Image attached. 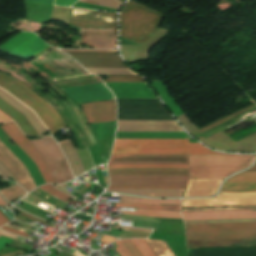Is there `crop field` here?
Here are the masks:
<instances>
[{
	"instance_id": "obj_1",
	"label": "crop field",
	"mask_w": 256,
	"mask_h": 256,
	"mask_svg": "<svg viewBox=\"0 0 256 256\" xmlns=\"http://www.w3.org/2000/svg\"><path fill=\"white\" fill-rule=\"evenodd\" d=\"M112 154H221L188 139H116Z\"/></svg>"
},
{
	"instance_id": "obj_2",
	"label": "crop field",
	"mask_w": 256,
	"mask_h": 256,
	"mask_svg": "<svg viewBox=\"0 0 256 256\" xmlns=\"http://www.w3.org/2000/svg\"><path fill=\"white\" fill-rule=\"evenodd\" d=\"M256 155H189V179L225 178L252 164Z\"/></svg>"
},
{
	"instance_id": "obj_3",
	"label": "crop field",
	"mask_w": 256,
	"mask_h": 256,
	"mask_svg": "<svg viewBox=\"0 0 256 256\" xmlns=\"http://www.w3.org/2000/svg\"><path fill=\"white\" fill-rule=\"evenodd\" d=\"M0 87L33 109L51 131L52 135L58 129L66 126L56 110L15 78L0 72Z\"/></svg>"
},
{
	"instance_id": "obj_4",
	"label": "crop field",
	"mask_w": 256,
	"mask_h": 256,
	"mask_svg": "<svg viewBox=\"0 0 256 256\" xmlns=\"http://www.w3.org/2000/svg\"><path fill=\"white\" fill-rule=\"evenodd\" d=\"M162 18L163 15L129 0L121 12L120 35L139 40L155 32Z\"/></svg>"
},
{
	"instance_id": "obj_5",
	"label": "crop field",
	"mask_w": 256,
	"mask_h": 256,
	"mask_svg": "<svg viewBox=\"0 0 256 256\" xmlns=\"http://www.w3.org/2000/svg\"><path fill=\"white\" fill-rule=\"evenodd\" d=\"M31 143L46 162L56 183L60 184L73 178L63 153L51 137L44 136L32 140Z\"/></svg>"
},
{
	"instance_id": "obj_6",
	"label": "crop field",
	"mask_w": 256,
	"mask_h": 256,
	"mask_svg": "<svg viewBox=\"0 0 256 256\" xmlns=\"http://www.w3.org/2000/svg\"><path fill=\"white\" fill-rule=\"evenodd\" d=\"M108 174L188 175V173L108 172ZM109 175L110 185L186 186L189 176Z\"/></svg>"
},
{
	"instance_id": "obj_7",
	"label": "crop field",
	"mask_w": 256,
	"mask_h": 256,
	"mask_svg": "<svg viewBox=\"0 0 256 256\" xmlns=\"http://www.w3.org/2000/svg\"><path fill=\"white\" fill-rule=\"evenodd\" d=\"M256 205V192L219 193L213 199H182V207Z\"/></svg>"
},
{
	"instance_id": "obj_8",
	"label": "crop field",
	"mask_w": 256,
	"mask_h": 256,
	"mask_svg": "<svg viewBox=\"0 0 256 256\" xmlns=\"http://www.w3.org/2000/svg\"><path fill=\"white\" fill-rule=\"evenodd\" d=\"M2 130L26 153V155L37 165L45 183H55L45 162L35 150L30 141L21 133L14 122L5 123L0 126Z\"/></svg>"
},
{
	"instance_id": "obj_9",
	"label": "crop field",
	"mask_w": 256,
	"mask_h": 256,
	"mask_svg": "<svg viewBox=\"0 0 256 256\" xmlns=\"http://www.w3.org/2000/svg\"><path fill=\"white\" fill-rule=\"evenodd\" d=\"M47 46L49 45L39 39L37 35L21 32L11 40L2 44L0 49L24 58H30Z\"/></svg>"
},
{
	"instance_id": "obj_10",
	"label": "crop field",
	"mask_w": 256,
	"mask_h": 256,
	"mask_svg": "<svg viewBox=\"0 0 256 256\" xmlns=\"http://www.w3.org/2000/svg\"><path fill=\"white\" fill-rule=\"evenodd\" d=\"M69 23L77 27H116V14L71 8Z\"/></svg>"
},
{
	"instance_id": "obj_11",
	"label": "crop field",
	"mask_w": 256,
	"mask_h": 256,
	"mask_svg": "<svg viewBox=\"0 0 256 256\" xmlns=\"http://www.w3.org/2000/svg\"><path fill=\"white\" fill-rule=\"evenodd\" d=\"M84 67L128 68L116 52H66Z\"/></svg>"
},
{
	"instance_id": "obj_12",
	"label": "crop field",
	"mask_w": 256,
	"mask_h": 256,
	"mask_svg": "<svg viewBox=\"0 0 256 256\" xmlns=\"http://www.w3.org/2000/svg\"><path fill=\"white\" fill-rule=\"evenodd\" d=\"M0 162L6 166L27 191L35 188V184L27 170V168L16 158V156L0 141Z\"/></svg>"
},
{
	"instance_id": "obj_13",
	"label": "crop field",
	"mask_w": 256,
	"mask_h": 256,
	"mask_svg": "<svg viewBox=\"0 0 256 256\" xmlns=\"http://www.w3.org/2000/svg\"><path fill=\"white\" fill-rule=\"evenodd\" d=\"M187 240L256 238L255 229L186 230Z\"/></svg>"
},
{
	"instance_id": "obj_14",
	"label": "crop field",
	"mask_w": 256,
	"mask_h": 256,
	"mask_svg": "<svg viewBox=\"0 0 256 256\" xmlns=\"http://www.w3.org/2000/svg\"><path fill=\"white\" fill-rule=\"evenodd\" d=\"M61 90L78 103L113 98L102 83L68 87Z\"/></svg>"
},
{
	"instance_id": "obj_15",
	"label": "crop field",
	"mask_w": 256,
	"mask_h": 256,
	"mask_svg": "<svg viewBox=\"0 0 256 256\" xmlns=\"http://www.w3.org/2000/svg\"><path fill=\"white\" fill-rule=\"evenodd\" d=\"M81 105L89 124L116 120L113 100Z\"/></svg>"
},
{
	"instance_id": "obj_16",
	"label": "crop field",
	"mask_w": 256,
	"mask_h": 256,
	"mask_svg": "<svg viewBox=\"0 0 256 256\" xmlns=\"http://www.w3.org/2000/svg\"><path fill=\"white\" fill-rule=\"evenodd\" d=\"M117 131H183L175 121H118Z\"/></svg>"
},
{
	"instance_id": "obj_17",
	"label": "crop field",
	"mask_w": 256,
	"mask_h": 256,
	"mask_svg": "<svg viewBox=\"0 0 256 256\" xmlns=\"http://www.w3.org/2000/svg\"><path fill=\"white\" fill-rule=\"evenodd\" d=\"M105 85L113 92L115 98H156L154 93L145 83H105Z\"/></svg>"
},
{
	"instance_id": "obj_18",
	"label": "crop field",
	"mask_w": 256,
	"mask_h": 256,
	"mask_svg": "<svg viewBox=\"0 0 256 256\" xmlns=\"http://www.w3.org/2000/svg\"><path fill=\"white\" fill-rule=\"evenodd\" d=\"M83 34L116 35V28H79ZM84 35L85 43L96 46L95 48H114L116 36ZM84 43V37H83ZM89 45V46H90ZM92 46V47H94Z\"/></svg>"
},
{
	"instance_id": "obj_19",
	"label": "crop field",
	"mask_w": 256,
	"mask_h": 256,
	"mask_svg": "<svg viewBox=\"0 0 256 256\" xmlns=\"http://www.w3.org/2000/svg\"><path fill=\"white\" fill-rule=\"evenodd\" d=\"M184 220L205 219H248L256 218V211H207V212H182Z\"/></svg>"
},
{
	"instance_id": "obj_20",
	"label": "crop field",
	"mask_w": 256,
	"mask_h": 256,
	"mask_svg": "<svg viewBox=\"0 0 256 256\" xmlns=\"http://www.w3.org/2000/svg\"><path fill=\"white\" fill-rule=\"evenodd\" d=\"M256 191V172H242L223 184L220 192Z\"/></svg>"
},
{
	"instance_id": "obj_21",
	"label": "crop field",
	"mask_w": 256,
	"mask_h": 256,
	"mask_svg": "<svg viewBox=\"0 0 256 256\" xmlns=\"http://www.w3.org/2000/svg\"><path fill=\"white\" fill-rule=\"evenodd\" d=\"M222 179L189 180L184 197L212 196Z\"/></svg>"
},
{
	"instance_id": "obj_22",
	"label": "crop field",
	"mask_w": 256,
	"mask_h": 256,
	"mask_svg": "<svg viewBox=\"0 0 256 256\" xmlns=\"http://www.w3.org/2000/svg\"><path fill=\"white\" fill-rule=\"evenodd\" d=\"M0 98L8 104H10L11 106H13L14 108H16L21 113H23L39 135L47 132L46 128L43 126V124L40 122V120L37 118V116L34 114L32 110H30L28 107L23 105L21 102L16 100L14 97L9 95L2 89H0Z\"/></svg>"
},
{
	"instance_id": "obj_23",
	"label": "crop field",
	"mask_w": 256,
	"mask_h": 256,
	"mask_svg": "<svg viewBox=\"0 0 256 256\" xmlns=\"http://www.w3.org/2000/svg\"><path fill=\"white\" fill-rule=\"evenodd\" d=\"M109 160L188 161V155H111Z\"/></svg>"
},
{
	"instance_id": "obj_24",
	"label": "crop field",
	"mask_w": 256,
	"mask_h": 256,
	"mask_svg": "<svg viewBox=\"0 0 256 256\" xmlns=\"http://www.w3.org/2000/svg\"><path fill=\"white\" fill-rule=\"evenodd\" d=\"M188 247L249 246L256 245V239L187 241Z\"/></svg>"
},
{
	"instance_id": "obj_25",
	"label": "crop field",
	"mask_w": 256,
	"mask_h": 256,
	"mask_svg": "<svg viewBox=\"0 0 256 256\" xmlns=\"http://www.w3.org/2000/svg\"><path fill=\"white\" fill-rule=\"evenodd\" d=\"M116 138H187L185 132H117Z\"/></svg>"
},
{
	"instance_id": "obj_26",
	"label": "crop field",
	"mask_w": 256,
	"mask_h": 256,
	"mask_svg": "<svg viewBox=\"0 0 256 256\" xmlns=\"http://www.w3.org/2000/svg\"><path fill=\"white\" fill-rule=\"evenodd\" d=\"M107 191L154 197H180L183 190L107 189Z\"/></svg>"
},
{
	"instance_id": "obj_27",
	"label": "crop field",
	"mask_w": 256,
	"mask_h": 256,
	"mask_svg": "<svg viewBox=\"0 0 256 256\" xmlns=\"http://www.w3.org/2000/svg\"><path fill=\"white\" fill-rule=\"evenodd\" d=\"M60 146L70 163V166L72 168L74 175L77 176V175L85 172V170L82 166V163L79 159V156H78L71 140L61 142Z\"/></svg>"
},
{
	"instance_id": "obj_28",
	"label": "crop field",
	"mask_w": 256,
	"mask_h": 256,
	"mask_svg": "<svg viewBox=\"0 0 256 256\" xmlns=\"http://www.w3.org/2000/svg\"><path fill=\"white\" fill-rule=\"evenodd\" d=\"M94 140L111 138L115 135L116 121L89 125Z\"/></svg>"
},
{
	"instance_id": "obj_29",
	"label": "crop field",
	"mask_w": 256,
	"mask_h": 256,
	"mask_svg": "<svg viewBox=\"0 0 256 256\" xmlns=\"http://www.w3.org/2000/svg\"><path fill=\"white\" fill-rule=\"evenodd\" d=\"M119 203L177 205V204H180V200H150V199L136 198V197L121 195Z\"/></svg>"
},
{
	"instance_id": "obj_30",
	"label": "crop field",
	"mask_w": 256,
	"mask_h": 256,
	"mask_svg": "<svg viewBox=\"0 0 256 256\" xmlns=\"http://www.w3.org/2000/svg\"><path fill=\"white\" fill-rule=\"evenodd\" d=\"M121 213L152 216V217L181 218L179 212H169V211H159V210L137 209L136 212L122 211Z\"/></svg>"
},
{
	"instance_id": "obj_31",
	"label": "crop field",
	"mask_w": 256,
	"mask_h": 256,
	"mask_svg": "<svg viewBox=\"0 0 256 256\" xmlns=\"http://www.w3.org/2000/svg\"><path fill=\"white\" fill-rule=\"evenodd\" d=\"M114 243L118 246L116 250L121 256H141L130 239L119 240Z\"/></svg>"
},
{
	"instance_id": "obj_32",
	"label": "crop field",
	"mask_w": 256,
	"mask_h": 256,
	"mask_svg": "<svg viewBox=\"0 0 256 256\" xmlns=\"http://www.w3.org/2000/svg\"><path fill=\"white\" fill-rule=\"evenodd\" d=\"M186 229H207V228H251L256 223L249 224H206V225H185Z\"/></svg>"
},
{
	"instance_id": "obj_33",
	"label": "crop field",
	"mask_w": 256,
	"mask_h": 256,
	"mask_svg": "<svg viewBox=\"0 0 256 256\" xmlns=\"http://www.w3.org/2000/svg\"><path fill=\"white\" fill-rule=\"evenodd\" d=\"M147 242V244L149 245V247L152 249V251L154 252V254L156 256H174V254L171 252V250L168 248V246L165 244V242L163 241H154V240H145ZM159 248L156 246V244Z\"/></svg>"
},
{
	"instance_id": "obj_34",
	"label": "crop field",
	"mask_w": 256,
	"mask_h": 256,
	"mask_svg": "<svg viewBox=\"0 0 256 256\" xmlns=\"http://www.w3.org/2000/svg\"><path fill=\"white\" fill-rule=\"evenodd\" d=\"M94 74L137 75L130 69L86 68Z\"/></svg>"
},
{
	"instance_id": "obj_35",
	"label": "crop field",
	"mask_w": 256,
	"mask_h": 256,
	"mask_svg": "<svg viewBox=\"0 0 256 256\" xmlns=\"http://www.w3.org/2000/svg\"><path fill=\"white\" fill-rule=\"evenodd\" d=\"M0 192L9 202H11V201L17 199L19 196L25 194V192L18 185L2 189V190H0Z\"/></svg>"
},
{
	"instance_id": "obj_36",
	"label": "crop field",
	"mask_w": 256,
	"mask_h": 256,
	"mask_svg": "<svg viewBox=\"0 0 256 256\" xmlns=\"http://www.w3.org/2000/svg\"><path fill=\"white\" fill-rule=\"evenodd\" d=\"M108 164L188 165V162L109 161Z\"/></svg>"
},
{
	"instance_id": "obj_37",
	"label": "crop field",
	"mask_w": 256,
	"mask_h": 256,
	"mask_svg": "<svg viewBox=\"0 0 256 256\" xmlns=\"http://www.w3.org/2000/svg\"><path fill=\"white\" fill-rule=\"evenodd\" d=\"M115 206L121 207H135V208H149V209H160V210H170L179 211L180 205L177 206H162V205H140V204H116Z\"/></svg>"
},
{
	"instance_id": "obj_38",
	"label": "crop field",
	"mask_w": 256,
	"mask_h": 256,
	"mask_svg": "<svg viewBox=\"0 0 256 256\" xmlns=\"http://www.w3.org/2000/svg\"><path fill=\"white\" fill-rule=\"evenodd\" d=\"M39 188L43 189L44 191H46L47 193H49L50 195L60 199V200H63L65 202H68L70 200V196L56 190L52 185L50 184H46V185H43V186H40Z\"/></svg>"
},
{
	"instance_id": "obj_39",
	"label": "crop field",
	"mask_w": 256,
	"mask_h": 256,
	"mask_svg": "<svg viewBox=\"0 0 256 256\" xmlns=\"http://www.w3.org/2000/svg\"><path fill=\"white\" fill-rule=\"evenodd\" d=\"M131 241L134 243L142 256H155L144 239H131Z\"/></svg>"
},
{
	"instance_id": "obj_40",
	"label": "crop field",
	"mask_w": 256,
	"mask_h": 256,
	"mask_svg": "<svg viewBox=\"0 0 256 256\" xmlns=\"http://www.w3.org/2000/svg\"><path fill=\"white\" fill-rule=\"evenodd\" d=\"M79 1L85 2L86 0H79ZM87 3L92 4L93 0H87ZM94 4L100 5V6H105V7H110V8H115V9L119 10L122 2H120L119 0H95Z\"/></svg>"
},
{
	"instance_id": "obj_41",
	"label": "crop field",
	"mask_w": 256,
	"mask_h": 256,
	"mask_svg": "<svg viewBox=\"0 0 256 256\" xmlns=\"http://www.w3.org/2000/svg\"><path fill=\"white\" fill-rule=\"evenodd\" d=\"M104 82H145L141 77L109 76Z\"/></svg>"
},
{
	"instance_id": "obj_42",
	"label": "crop field",
	"mask_w": 256,
	"mask_h": 256,
	"mask_svg": "<svg viewBox=\"0 0 256 256\" xmlns=\"http://www.w3.org/2000/svg\"><path fill=\"white\" fill-rule=\"evenodd\" d=\"M235 222H256V219L248 220H205V221H184L185 224L192 223H235Z\"/></svg>"
},
{
	"instance_id": "obj_43",
	"label": "crop field",
	"mask_w": 256,
	"mask_h": 256,
	"mask_svg": "<svg viewBox=\"0 0 256 256\" xmlns=\"http://www.w3.org/2000/svg\"><path fill=\"white\" fill-rule=\"evenodd\" d=\"M108 167L188 168V166L108 165Z\"/></svg>"
},
{
	"instance_id": "obj_44",
	"label": "crop field",
	"mask_w": 256,
	"mask_h": 256,
	"mask_svg": "<svg viewBox=\"0 0 256 256\" xmlns=\"http://www.w3.org/2000/svg\"><path fill=\"white\" fill-rule=\"evenodd\" d=\"M234 209H256V207H233V208H198V209H182L181 211H202V210H234Z\"/></svg>"
},
{
	"instance_id": "obj_45",
	"label": "crop field",
	"mask_w": 256,
	"mask_h": 256,
	"mask_svg": "<svg viewBox=\"0 0 256 256\" xmlns=\"http://www.w3.org/2000/svg\"><path fill=\"white\" fill-rule=\"evenodd\" d=\"M108 188L184 189L185 187L109 186Z\"/></svg>"
},
{
	"instance_id": "obj_46",
	"label": "crop field",
	"mask_w": 256,
	"mask_h": 256,
	"mask_svg": "<svg viewBox=\"0 0 256 256\" xmlns=\"http://www.w3.org/2000/svg\"><path fill=\"white\" fill-rule=\"evenodd\" d=\"M0 175L9 178L11 177L16 183H18L14 177L10 174L9 170L0 163Z\"/></svg>"
},
{
	"instance_id": "obj_47",
	"label": "crop field",
	"mask_w": 256,
	"mask_h": 256,
	"mask_svg": "<svg viewBox=\"0 0 256 256\" xmlns=\"http://www.w3.org/2000/svg\"><path fill=\"white\" fill-rule=\"evenodd\" d=\"M66 0H55V5H61L64 3ZM77 0H67L64 4L65 6H71L73 3H75Z\"/></svg>"
},
{
	"instance_id": "obj_48",
	"label": "crop field",
	"mask_w": 256,
	"mask_h": 256,
	"mask_svg": "<svg viewBox=\"0 0 256 256\" xmlns=\"http://www.w3.org/2000/svg\"><path fill=\"white\" fill-rule=\"evenodd\" d=\"M12 239H9V238H5V237H2L0 236V250L2 248H4L9 242H11Z\"/></svg>"
},
{
	"instance_id": "obj_49",
	"label": "crop field",
	"mask_w": 256,
	"mask_h": 256,
	"mask_svg": "<svg viewBox=\"0 0 256 256\" xmlns=\"http://www.w3.org/2000/svg\"><path fill=\"white\" fill-rule=\"evenodd\" d=\"M28 2L42 3L52 5L53 0H25Z\"/></svg>"
},
{
	"instance_id": "obj_50",
	"label": "crop field",
	"mask_w": 256,
	"mask_h": 256,
	"mask_svg": "<svg viewBox=\"0 0 256 256\" xmlns=\"http://www.w3.org/2000/svg\"><path fill=\"white\" fill-rule=\"evenodd\" d=\"M108 169H148V168H108ZM148 172H188V171H148Z\"/></svg>"
},
{
	"instance_id": "obj_51",
	"label": "crop field",
	"mask_w": 256,
	"mask_h": 256,
	"mask_svg": "<svg viewBox=\"0 0 256 256\" xmlns=\"http://www.w3.org/2000/svg\"><path fill=\"white\" fill-rule=\"evenodd\" d=\"M0 228H3V229H5V230H7V231H9V232H13V233H16V234H19V235L25 236V237L27 236V234H26V233H24V232H20V231L12 230V229H9V228L4 227V226H2V227H0Z\"/></svg>"
},
{
	"instance_id": "obj_52",
	"label": "crop field",
	"mask_w": 256,
	"mask_h": 256,
	"mask_svg": "<svg viewBox=\"0 0 256 256\" xmlns=\"http://www.w3.org/2000/svg\"><path fill=\"white\" fill-rule=\"evenodd\" d=\"M8 120H12L9 116H7L6 114H4L2 111H0V122H4V121H8Z\"/></svg>"
},
{
	"instance_id": "obj_53",
	"label": "crop field",
	"mask_w": 256,
	"mask_h": 256,
	"mask_svg": "<svg viewBox=\"0 0 256 256\" xmlns=\"http://www.w3.org/2000/svg\"><path fill=\"white\" fill-rule=\"evenodd\" d=\"M21 216L28 217V218H30V219H32V220H34V221L38 222V223H41V224L45 225V223H44V221H43V220H40V219H37V218L31 217L32 215H31V216H29V215H27V214L23 213V214H21Z\"/></svg>"
},
{
	"instance_id": "obj_54",
	"label": "crop field",
	"mask_w": 256,
	"mask_h": 256,
	"mask_svg": "<svg viewBox=\"0 0 256 256\" xmlns=\"http://www.w3.org/2000/svg\"><path fill=\"white\" fill-rule=\"evenodd\" d=\"M116 240L115 238H111V237H107V236H103V238L100 240L102 242H105V243H110L112 241Z\"/></svg>"
},
{
	"instance_id": "obj_55",
	"label": "crop field",
	"mask_w": 256,
	"mask_h": 256,
	"mask_svg": "<svg viewBox=\"0 0 256 256\" xmlns=\"http://www.w3.org/2000/svg\"><path fill=\"white\" fill-rule=\"evenodd\" d=\"M9 222V220H7L0 212V226Z\"/></svg>"
},
{
	"instance_id": "obj_56",
	"label": "crop field",
	"mask_w": 256,
	"mask_h": 256,
	"mask_svg": "<svg viewBox=\"0 0 256 256\" xmlns=\"http://www.w3.org/2000/svg\"><path fill=\"white\" fill-rule=\"evenodd\" d=\"M63 51H116V50H63Z\"/></svg>"
},
{
	"instance_id": "obj_57",
	"label": "crop field",
	"mask_w": 256,
	"mask_h": 256,
	"mask_svg": "<svg viewBox=\"0 0 256 256\" xmlns=\"http://www.w3.org/2000/svg\"><path fill=\"white\" fill-rule=\"evenodd\" d=\"M8 204L6 200L0 195V205Z\"/></svg>"
},
{
	"instance_id": "obj_58",
	"label": "crop field",
	"mask_w": 256,
	"mask_h": 256,
	"mask_svg": "<svg viewBox=\"0 0 256 256\" xmlns=\"http://www.w3.org/2000/svg\"><path fill=\"white\" fill-rule=\"evenodd\" d=\"M249 170H256V164L253 167H251Z\"/></svg>"
},
{
	"instance_id": "obj_59",
	"label": "crop field",
	"mask_w": 256,
	"mask_h": 256,
	"mask_svg": "<svg viewBox=\"0 0 256 256\" xmlns=\"http://www.w3.org/2000/svg\"><path fill=\"white\" fill-rule=\"evenodd\" d=\"M17 218H19V217H17ZM19 219H21V218H19ZM21 220H23V221H25V222H26V220H24V219H21Z\"/></svg>"
}]
</instances>
